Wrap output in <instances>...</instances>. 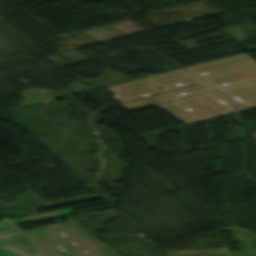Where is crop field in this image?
I'll return each mask as SVG.
<instances>
[{"label": "crop field", "mask_w": 256, "mask_h": 256, "mask_svg": "<svg viewBox=\"0 0 256 256\" xmlns=\"http://www.w3.org/2000/svg\"><path fill=\"white\" fill-rule=\"evenodd\" d=\"M20 232L21 231H19L15 226H13L7 220L0 221V237L15 234V233H20Z\"/></svg>", "instance_id": "crop-field-10"}, {"label": "crop field", "mask_w": 256, "mask_h": 256, "mask_svg": "<svg viewBox=\"0 0 256 256\" xmlns=\"http://www.w3.org/2000/svg\"><path fill=\"white\" fill-rule=\"evenodd\" d=\"M0 256H49L23 233L0 238Z\"/></svg>", "instance_id": "crop-field-5"}, {"label": "crop field", "mask_w": 256, "mask_h": 256, "mask_svg": "<svg viewBox=\"0 0 256 256\" xmlns=\"http://www.w3.org/2000/svg\"><path fill=\"white\" fill-rule=\"evenodd\" d=\"M144 79L157 87L162 86L161 90L206 118L234 111V107H237L236 110L245 108L182 68Z\"/></svg>", "instance_id": "crop-field-1"}, {"label": "crop field", "mask_w": 256, "mask_h": 256, "mask_svg": "<svg viewBox=\"0 0 256 256\" xmlns=\"http://www.w3.org/2000/svg\"><path fill=\"white\" fill-rule=\"evenodd\" d=\"M252 138H254L256 140V135L252 136Z\"/></svg>", "instance_id": "crop-field-11"}, {"label": "crop field", "mask_w": 256, "mask_h": 256, "mask_svg": "<svg viewBox=\"0 0 256 256\" xmlns=\"http://www.w3.org/2000/svg\"><path fill=\"white\" fill-rule=\"evenodd\" d=\"M191 67L223 87L256 79V62L243 53L191 65Z\"/></svg>", "instance_id": "crop-field-2"}, {"label": "crop field", "mask_w": 256, "mask_h": 256, "mask_svg": "<svg viewBox=\"0 0 256 256\" xmlns=\"http://www.w3.org/2000/svg\"><path fill=\"white\" fill-rule=\"evenodd\" d=\"M107 88L115 94L112 97L120 102L161 92L159 88L151 85L142 78L108 86Z\"/></svg>", "instance_id": "crop-field-6"}, {"label": "crop field", "mask_w": 256, "mask_h": 256, "mask_svg": "<svg viewBox=\"0 0 256 256\" xmlns=\"http://www.w3.org/2000/svg\"><path fill=\"white\" fill-rule=\"evenodd\" d=\"M68 222L25 230L29 236L54 256H88L84 251L88 243L75 231H68Z\"/></svg>", "instance_id": "crop-field-3"}, {"label": "crop field", "mask_w": 256, "mask_h": 256, "mask_svg": "<svg viewBox=\"0 0 256 256\" xmlns=\"http://www.w3.org/2000/svg\"><path fill=\"white\" fill-rule=\"evenodd\" d=\"M184 68L195 74L196 76L200 77L201 79L205 80L209 84L213 85L214 87L218 88L219 90L223 91L224 93L228 94L229 96L240 101L245 106L251 107L256 105V80L223 88L212 80L205 77L204 75L200 74L196 70L192 69L191 67L187 66Z\"/></svg>", "instance_id": "crop-field-7"}, {"label": "crop field", "mask_w": 256, "mask_h": 256, "mask_svg": "<svg viewBox=\"0 0 256 256\" xmlns=\"http://www.w3.org/2000/svg\"><path fill=\"white\" fill-rule=\"evenodd\" d=\"M67 227L69 230L77 231L89 243L84 248L89 256H116L75 221L69 222Z\"/></svg>", "instance_id": "crop-field-8"}, {"label": "crop field", "mask_w": 256, "mask_h": 256, "mask_svg": "<svg viewBox=\"0 0 256 256\" xmlns=\"http://www.w3.org/2000/svg\"><path fill=\"white\" fill-rule=\"evenodd\" d=\"M122 105L130 111L157 105L185 124L205 119L190 107L166 93Z\"/></svg>", "instance_id": "crop-field-4"}, {"label": "crop field", "mask_w": 256, "mask_h": 256, "mask_svg": "<svg viewBox=\"0 0 256 256\" xmlns=\"http://www.w3.org/2000/svg\"><path fill=\"white\" fill-rule=\"evenodd\" d=\"M71 211H72V209L68 208V209H63V210L43 213V214H37V215H32V216H27V217H22V218H17V219H12V221L15 224H18V223H23V222H29V221L39 220V219H45V218H50V217H55V216L71 214Z\"/></svg>", "instance_id": "crop-field-9"}]
</instances>
